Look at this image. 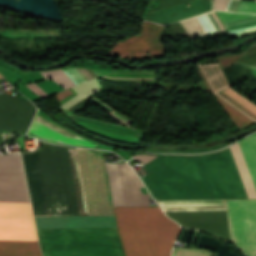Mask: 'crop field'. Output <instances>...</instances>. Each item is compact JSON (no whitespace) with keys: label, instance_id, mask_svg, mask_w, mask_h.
<instances>
[{"label":"crop field","instance_id":"4a817a6b","mask_svg":"<svg viewBox=\"0 0 256 256\" xmlns=\"http://www.w3.org/2000/svg\"><path fill=\"white\" fill-rule=\"evenodd\" d=\"M211 13L215 17L220 28L224 30L225 28L219 22L215 12H211ZM212 15L209 13L203 16L181 21L180 23L184 27V29L187 31V33L190 35L191 38L199 35L212 33L214 31H221Z\"/></svg>","mask_w":256,"mask_h":256},{"label":"crop field","instance_id":"cbeb9de0","mask_svg":"<svg viewBox=\"0 0 256 256\" xmlns=\"http://www.w3.org/2000/svg\"><path fill=\"white\" fill-rule=\"evenodd\" d=\"M191 5L192 6L185 8L184 4H182L149 13L146 20H151L159 24H169L171 22L211 10V3L206 0H197L191 2Z\"/></svg>","mask_w":256,"mask_h":256},{"label":"crop field","instance_id":"d32e631a","mask_svg":"<svg viewBox=\"0 0 256 256\" xmlns=\"http://www.w3.org/2000/svg\"><path fill=\"white\" fill-rule=\"evenodd\" d=\"M71 94H72V92L69 89H67L63 92H60V93L56 94V99H57V101H60V100L66 98L67 96H69Z\"/></svg>","mask_w":256,"mask_h":256},{"label":"crop field","instance_id":"28ad6ade","mask_svg":"<svg viewBox=\"0 0 256 256\" xmlns=\"http://www.w3.org/2000/svg\"><path fill=\"white\" fill-rule=\"evenodd\" d=\"M166 214L182 226L204 231L230 241L225 211Z\"/></svg>","mask_w":256,"mask_h":256},{"label":"crop field","instance_id":"3316defc","mask_svg":"<svg viewBox=\"0 0 256 256\" xmlns=\"http://www.w3.org/2000/svg\"><path fill=\"white\" fill-rule=\"evenodd\" d=\"M206 71V74L208 76L209 82L211 84L212 90L214 92V94H216L218 97H220L221 99H223L224 101H226L228 104H230L231 106H233L235 109H237L238 111H240L242 114H244L245 116H247L248 118H250L252 121L256 122V120L254 118H252L249 114H247L246 112H244L242 109H240L239 107H237L236 105H234L232 102H230L229 100H227L226 98H224L223 96H221L220 94L217 93V91L229 86L227 79L223 73V71L221 70V68L219 67V65H203ZM202 65H198V69H199V74L202 78V80L205 82V84L207 85L208 89L210 90V92L213 94L210 84L208 82L207 76L205 74L204 68ZM213 94V95H214ZM216 95H214V97L216 98V100L219 102V104L223 107V109L225 110V112L227 113V115L229 116V118L241 129L252 125L254 122H252L250 119H248L247 117H245L244 115H242L240 112H238L237 110H235L233 107H231L230 105H228L226 102H224L223 100H221L220 98H218Z\"/></svg>","mask_w":256,"mask_h":256},{"label":"crop field","instance_id":"750c4746","mask_svg":"<svg viewBox=\"0 0 256 256\" xmlns=\"http://www.w3.org/2000/svg\"><path fill=\"white\" fill-rule=\"evenodd\" d=\"M237 11L256 13V3L242 1Z\"/></svg>","mask_w":256,"mask_h":256},{"label":"crop field","instance_id":"bd1437ed","mask_svg":"<svg viewBox=\"0 0 256 256\" xmlns=\"http://www.w3.org/2000/svg\"><path fill=\"white\" fill-rule=\"evenodd\" d=\"M223 147H225V145L220 146V147L206 149V150H195V151H154V150H147V151H151V152H170V153H202V152H207V151H211V150L221 149Z\"/></svg>","mask_w":256,"mask_h":256},{"label":"crop field","instance_id":"dd49c442","mask_svg":"<svg viewBox=\"0 0 256 256\" xmlns=\"http://www.w3.org/2000/svg\"><path fill=\"white\" fill-rule=\"evenodd\" d=\"M256 189V134L239 141ZM232 242L238 249L256 256V200L226 201Z\"/></svg>","mask_w":256,"mask_h":256},{"label":"crop field","instance_id":"5a996713","mask_svg":"<svg viewBox=\"0 0 256 256\" xmlns=\"http://www.w3.org/2000/svg\"><path fill=\"white\" fill-rule=\"evenodd\" d=\"M35 112L32 103L0 94V131L25 133Z\"/></svg>","mask_w":256,"mask_h":256},{"label":"crop field","instance_id":"ac0d7876","mask_svg":"<svg viewBox=\"0 0 256 256\" xmlns=\"http://www.w3.org/2000/svg\"><path fill=\"white\" fill-rule=\"evenodd\" d=\"M141 179L155 200L245 199L230 149L196 156L160 155Z\"/></svg>","mask_w":256,"mask_h":256},{"label":"crop field","instance_id":"412701ff","mask_svg":"<svg viewBox=\"0 0 256 256\" xmlns=\"http://www.w3.org/2000/svg\"><path fill=\"white\" fill-rule=\"evenodd\" d=\"M0 184L26 185L20 154L0 155ZM0 201L30 202L26 186L0 185ZM0 202V240L38 241L30 203Z\"/></svg>","mask_w":256,"mask_h":256},{"label":"crop field","instance_id":"d9b57169","mask_svg":"<svg viewBox=\"0 0 256 256\" xmlns=\"http://www.w3.org/2000/svg\"><path fill=\"white\" fill-rule=\"evenodd\" d=\"M164 212L225 210L224 200L157 201Z\"/></svg>","mask_w":256,"mask_h":256},{"label":"crop field","instance_id":"1d83c4d3","mask_svg":"<svg viewBox=\"0 0 256 256\" xmlns=\"http://www.w3.org/2000/svg\"><path fill=\"white\" fill-rule=\"evenodd\" d=\"M26 86L29 87L32 91H34L36 94H38L42 98L49 96L43 90H41L38 86H36L34 83Z\"/></svg>","mask_w":256,"mask_h":256},{"label":"crop field","instance_id":"028f5c9d","mask_svg":"<svg viewBox=\"0 0 256 256\" xmlns=\"http://www.w3.org/2000/svg\"><path fill=\"white\" fill-rule=\"evenodd\" d=\"M0 78H4L1 73H0Z\"/></svg>","mask_w":256,"mask_h":256},{"label":"crop field","instance_id":"8a807250","mask_svg":"<svg viewBox=\"0 0 256 256\" xmlns=\"http://www.w3.org/2000/svg\"><path fill=\"white\" fill-rule=\"evenodd\" d=\"M41 144L42 148H37L35 153L47 216H58V214L59 216H76V213L77 216L114 215L103 152L84 149L95 208L94 214L84 151L66 147L76 207L75 213L65 147L45 143L58 208L57 214L45 144L43 141ZM35 153L34 151L22 153V156L34 215L41 217L46 214Z\"/></svg>","mask_w":256,"mask_h":256},{"label":"crop field","instance_id":"214f88e0","mask_svg":"<svg viewBox=\"0 0 256 256\" xmlns=\"http://www.w3.org/2000/svg\"><path fill=\"white\" fill-rule=\"evenodd\" d=\"M73 89L79 94V95H77V96H75V97H73L72 99H70L69 101H67L65 104H63L62 106H60V108H63V109H66L67 107H69L70 105H72L73 103H75L76 101H78L79 99H81L82 97H84V96H86V95H89V94H92V93H95V92H97V91H99V90H101V88H100V86H99V84H98V82H97V80H96V78L95 79H93V80H91V81H88V82H86V83H84V84H81V85H78V86H76V87H73ZM90 96V95H89ZM87 98L88 97H85L84 99H82L80 102H76L75 104H73V105H75V106H70L69 108H71V109H69V108H67V110L69 109V111H71V112H74V111H76V110H78V109H80V108H82L83 106H84V104H85V102H86V100H87Z\"/></svg>","mask_w":256,"mask_h":256},{"label":"crop field","instance_id":"22f410ed","mask_svg":"<svg viewBox=\"0 0 256 256\" xmlns=\"http://www.w3.org/2000/svg\"><path fill=\"white\" fill-rule=\"evenodd\" d=\"M37 228L116 227L114 216L35 218Z\"/></svg>","mask_w":256,"mask_h":256},{"label":"crop field","instance_id":"120bbe31","mask_svg":"<svg viewBox=\"0 0 256 256\" xmlns=\"http://www.w3.org/2000/svg\"><path fill=\"white\" fill-rule=\"evenodd\" d=\"M156 156L152 155H136L133 158L141 160L144 164L150 161L151 159L155 158Z\"/></svg>","mask_w":256,"mask_h":256},{"label":"crop field","instance_id":"5142ce71","mask_svg":"<svg viewBox=\"0 0 256 256\" xmlns=\"http://www.w3.org/2000/svg\"><path fill=\"white\" fill-rule=\"evenodd\" d=\"M35 120L38 121V122H41L43 124H46L48 126H51L53 128H56L58 130H61L63 132H66V133H68L70 135H73L75 137H78L80 139H83L85 141H88L90 143H93L95 145H98V144H96V143L86 139L85 137H83V136H81L79 134H75V133H72V132L66 130L65 128L59 126L58 124H56V123L46 119L45 117H43V116H41L39 114L37 115ZM36 121L34 122L32 128H31V131H33V132H36L38 134H41L43 136H46L48 138H51V139L56 140L58 142H61L63 144L95 147V145H93V144H90L88 142H85L83 140H80L78 138L70 136L68 134H65V133H63L61 131H58L56 129H53L51 127H48V126L43 125L41 123H38Z\"/></svg>","mask_w":256,"mask_h":256},{"label":"crop field","instance_id":"00972430","mask_svg":"<svg viewBox=\"0 0 256 256\" xmlns=\"http://www.w3.org/2000/svg\"><path fill=\"white\" fill-rule=\"evenodd\" d=\"M230 148H231V151L233 153L235 162L237 164V167H238L239 173L241 175L242 181L244 183V186H245L246 192L248 194V197L249 198H256V192H255L254 186L252 184L250 175L248 173L247 167L245 165V162H244L243 156L241 154L240 148L238 146V143H235L234 145H231Z\"/></svg>","mask_w":256,"mask_h":256},{"label":"crop field","instance_id":"733c2abd","mask_svg":"<svg viewBox=\"0 0 256 256\" xmlns=\"http://www.w3.org/2000/svg\"><path fill=\"white\" fill-rule=\"evenodd\" d=\"M231 35L256 32V15L217 12Z\"/></svg>","mask_w":256,"mask_h":256},{"label":"crop field","instance_id":"bc2a9ffb","mask_svg":"<svg viewBox=\"0 0 256 256\" xmlns=\"http://www.w3.org/2000/svg\"><path fill=\"white\" fill-rule=\"evenodd\" d=\"M0 256H42L38 242L0 241Z\"/></svg>","mask_w":256,"mask_h":256},{"label":"crop field","instance_id":"ae1a2a85","mask_svg":"<svg viewBox=\"0 0 256 256\" xmlns=\"http://www.w3.org/2000/svg\"><path fill=\"white\" fill-rule=\"evenodd\" d=\"M228 0H226L227 4ZM240 0H230L226 10L236 11ZM225 0H213V9H223L224 10ZM225 4V6H226Z\"/></svg>","mask_w":256,"mask_h":256},{"label":"crop field","instance_id":"730fd06b","mask_svg":"<svg viewBox=\"0 0 256 256\" xmlns=\"http://www.w3.org/2000/svg\"><path fill=\"white\" fill-rule=\"evenodd\" d=\"M41 75L44 77L45 80L51 78L66 88L74 86L72 81L65 75L62 69L42 72Z\"/></svg>","mask_w":256,"mask_h":256},{"label":"crop field","instance_id":"e52e79f7","mask_svg":"<svg viewBox=\"0 0 256 256\" xmlns=\"http://www.w3.org/2000/svg\"><path fill=\"white\" fill-rule=\"evenodd\" d=\"M114 206H150L148 195H142V182L127 163H107Z\"/></svg>","mask_w":256,"mask_h":256},{"label":"crop field","instance_id":"e1f06a70","mask_svg":"<svg viewBox=\"0 0 256 256\" xmlns=\"http://www.w3.org/2000/svg\"><path fill=\"white\" fill-rule=\"evenodd\" d=\"M96 101V100H95ZM99 103V102H98ZM104 106V105H103ZM107 108V107H106ZM110 110V109H109ZM112 111V110H111Z\"/></svg>","mask_w":256,"mask_h":256},{"label":"crop field","instance_id":"a9b5d70f","mask_svg":"<svg viewBox=\"0 0 256 256\" xmlns=\"http://www.w3.org/2000/svg\"><path fill=\"white\" fill-rule=\"evenodd\" d=\"M219 93H221L227 99L235 103L237 106L245 110L247 113H249L256 119V106L252 104L250 101H248L246 98L239 95L229 87L220 91Z\"/></svg>","mask_w":256,"mask_h":256},{"label":"crop field","instance_id":"eef30255","mask_svg":"<svg viewBox=\"0 0 256 256\" xmlns=\"http://www.w3.org/2000/svg\"><path fill=\"white\" fill-rule=\"evenodd\" d=\"M173 256H211V253L199 249L174 248Z\"/></svg>","mask_w":256,"mask_h":256},{"label":"crop field","instance_id":"f4fd0767","mask_svg":"<svg viewBox=\"0 0 256 256\" xmlns=\"http://www.w3.org/2000/svg\"><path fill=\"white\" fill-rule=\"evenodd\" d=\"M43 256H124L117 228L37 229Z\"/></svg>","mask_w":256,"mask_h":256},{"label":"crop field","instance_id":"0bd39190","mask_svg":"<svg viewBox=\"0 0 256 256\" xmlns=\"http://www.w3.org/2000/svg\"><path fill=\"white\" fill-rule=\"evenodd\" d=\"M256 1V0H255Z\"/></svg>","mask_w":256,"mask_h":256},{"label":"crop field","instance_id":"d8731c3e","mask_svg":"<svg viewBox=\"0 0 256 256\" xmlns=\"http://www.w3.org/2000/svg\"><path fill=\"white\" fill-rule=\"evenodd\" d=\"M164 27V26H163ZM162 26L144 22L142 36L130 37L119 42L110 52V55H118L129 59H139L148 55L164 54V48L160 36ZM145 51L150 54L146 55Z\"/></svg>","mask_w":256,"mask_h":256},{"label":"crop field","instance_id":"5866460e","mask_svg":"<svg viewBox=\"0 0 256 256\" xmlns=\"http://www.w3.org/2000/svg\"><path fill=\"white\" fill-rule=\"evenodd\" d=\"M171 27L173 28V30L175 31H179V32H183L186 33V31L183 29V27L180 25L179 22L171 24Z\"/></svg>","mask_w":256,"mask_h":256},{"label":"crop field","instance_id":"92a150f3","mask_svg":"<svg viewBox=\"0 0 256 256\" xmlns=\"http://www.w3.org/2000/svg\"><path fill=\"white\" fill-rule=\"evenodd\" d=\"M216 59L222 69L232 63L256 68V44L251 45L249 49L243 54L227 55L217 57Z\"/></svg>","mask_w":256,"mask_h":256},{"label":"crop field","instance_id":"34b2d1b8","mask_svg":"<svg viewBox=\"0 0 256 256\" xmlns=\"http://www.w3.org/2000/svg\"><path fill=\"white\" fill-rule=\"evenodd\" d=\"M114 210L125 256H170L180 228L159 207Z\"/></svg>","mask_w":256,"mask_h":256},{"label":"crop field","instance_id":"dafd665d","mask_svg":"<svg viewBox=\"0 0 256 256\" xmlns=\"http://www.w3.org/2000/svg\"><path fill=\"white\" fill-rule=\"evenodd\" d=\"M100 77L109 80L154 81V70H113Z\"/></svg>","mask_w":256,"mask_h":256},{"label":"crop field","instance_id":"4177f3b9","mask_svg":"<svg viewBox=\"0 0 256 256\" xmlns=\"http://www.w3.org/2000/svg\"><path fill=\"white\" fill-rule=\"evenodd\" d=\"M86 70L90 73V75L93 78L109 73L106 71H97V70H89V69H86ZM86 70L78 69V68H70L64 71L69 76V78L74 82V84L77 85L81 82L87 81L92 78Z\"/></svg>","mask_w":256,"mask_h":256},{"label":"crop field","instance_id":"d1516ede","mask_svg":"<svg viewBox=\"0 0 256 256\" xmlns=\"http://www.w3.org/2000/svg\"><path fill=\"white\" fill-rule=\"evenodd\" d=\"M63 112L66 113L71 119H73L79 125L97 134L111 138L113 140L139 143L144 134L143 131L129 129L123 126L108 124V123L95 121V120H91L83 117H77L65 111Z\"/></svg>","mask_w":256,"mask_h":256},{"label":"crop field","instance_id":"d3111659","mask_svg":"<svg viewBox=\"0 0 256 256\" xmlns=\"http://www.w3.org/2000/svg\"><path fill=\"white\" fill-rule=\"evenodd\" d=\"M188 1H190V0H158L159 7L150 9L149 12L164 9V8L171 7V6L178 5V4H182V3H185Z\"/></svg>","mask_w":256,"mask_h":256}]
</instances>
